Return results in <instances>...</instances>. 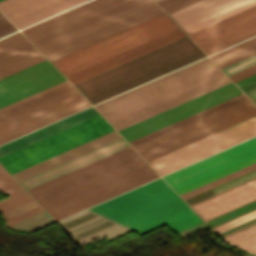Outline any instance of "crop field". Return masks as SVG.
Here are the masks:
<instances>
[{
	"mask_svg": "<svg viewBox=\"0 0 256 256\" xmlns=\"http://www.w3.org/2000/svg\"><path fill=\"white\" fill-rule=\"evenodd\" d=\"M157 177L129 146L28 192L59 220Z\"/></svg>",
	"mask_w": 256,
	"mask_h": 256,
	"instance_id": "8a807250",
	"label": "crop field"
},
{
	"mask_svg": "<svg viewBox=\"0 0 256 256\" xmlns=\"http://www.w3.org/2000/svg\"><path fill=\"white\" fill-rule=\"evenodd\" d=\"M139 1L141 0H91L22 32L37 46ZM161 13L163 11L154 1L144 0L37 48L52 61Z\"/></svg>",
	"mask_w": 256,
	"mask_h": 256,
	"instance_id": "ac0d7876",
	"label": "crop field"
},
{
	"mask_svg": "<svg viewBox=\"0 0 256 256\" xmlns=\"http://www.w3.org/2000/svg\"><path fill=\"white\" fill-rule=\"evenodd\" d=\"M185 36L176 30L123 54L67 77L76 83L129 59ZM205 55L187 37H183L130 61L74 84L82 95L95 104L190 62Z\"/></svg>",
	"mask_w": 256,
	"mask_h": 256,
	"instance_id": "34b2d1b8",
	"label": "crop field"
},
{
	"mask_svg": "<svg viewBox=\"0 0 256 256\" xmlns=\"http://www.w3.org/2000/svg\"><path fill=\"white\" fill-rule=\"evenodd\" d=\"M256 115L248 100L135 148L146 161ZM256 135V116L149 161L164 175L184 165Z\"/></svg>",
	"mask_w": 256,
	"mask_h": 256,
	"instance_id": "412701ff",
	"label": "crop field"
},
{
	"mask_svg": "<svg viewBox=\"0 0 256 256\" xmlns=\"http://www.w3.org/2000/svg\"><path fill=\"white\" fill-rule=\"evenodd\" d=\"M212 66H214V64L211 62V60L208 57H206V58L199 60L193 64H190L186 67H183L179 70L169 73L163 77H160L156 80H153L149 83L139 86L133 90H130V91L123 93L119 96H116L112 99H109L103 103H100L94 107L101 114H103L107 111H110L114 108H117L121 105H124L128 102H131L135 99H138L142 96H145L149 93H152L158 89H161L165 86H168L172 83H175L179 80H182L186 77H189L193 74H196V73L203 71L207 68H210ZM220 74H222V72L216 66H214L210 69H207L203 72H200L196 75H193L189 78H186V79L179 81L175 84H172L168 87H165L159 91H156L152 94H149L145 97H142L138 100H135V101L128 103L124 106H121L117 109H114L110 112H107V113L103 114V116L109 122H111L115 119H118L122 116H125L129 113H132L136 110H139L143 107H146L150 104H153L157 101H160L166 97H169L173 94H176L180 91H183L187 88H190L194 85H197L201 82H204V81L211 79L215 76H218ZM228 83H230V81L227 79V77L224 74H222L218 77H215L211 80H208L204 83H201L197 86H194V87L187 89L183 92H180L176 95H173L167 99H164L160 102H157L153 105H150L146 108H143V109L136 111L132 114H129L125 117H122L118 120H115V121L111 122V124L114 126V128L117 131H119L123 128H126L130 125H133L137 122H140L144 119H147L151 116H154L158 113H161L165 110H168L174 106H177L181 103H184L188 100H191L195 97H198L202 94H205L209 91H212V90L219 88L223 85H226Z\"/></svg>",
	"mask_w": 256,
	"mask_h": 256,
	"instance_id": "f4fd0767",
	"label": "crop field"
},
{
	"mask_svg": "<svg viewBox=\"0 0 256 256\" xmlns=\"http://www.w3.org/2000/svg\"><path fill=\"white\" fill-rule=\"evenodd\" d=\"M185 207L175 192L158 179L90 209L137 229Z\"/></svg>",
	"mask_w": 256,
	"mask_h": 256,
	"instance_id": "dd49c442",
	"label": "crop field"
},
{
	"mask_svg": "<svg viewBox=\"0 0 256 256\" xmlns=\"http://www.w3.org/2000/svg\"><path fill=\"white\" fill-rule=\"evenodd\" d=\"M176 29L178 27L163 13L56 59L52 63L67 77Z\"/></svg>",
	"mask_w": 256,
	"mask_h": 256,
	"instance_id": "e52e79f7",
	"label": "crop field"
},
{
	"mask_svg": "<svg viewBox=\"0 0 256 256\" xmlns=\"http://www.w3.org/2000/svg\"><path fill=\"white\" fill-rule=\"evenodd\" d=\"M111 130L113 128L98 115L1 156L0 163L13 174Z\"/></svg>",
	"mask_w": 256,
	"mask_h": 256,
	"instance_id": "d8731c3e",
	"label": "crop field"
},
{
	"mask_svg": "<svg viewBox=\"0 0 256 256\" xmlns=\"http://www.w3.org/2000/svg\"><path fill=\"white\" fill-rule=\"evenodd\" d=\"M67 83L63 81L0 109V112ZM75 89L0 120V141L86 104ZM89 104V103H88ZM87 105V104H86ZM90 105V104H89ZM85 106V105H84ZM88 106V105H87ZM83 107V106H82ZM86 107V106H85ZM80 108V107H79ZM84 108V107H83ZM78 109V108H77ZM81 109V108H80ZM76 110V109H75ZM79 110V109H78ZM73 111V110H72ZM77 111V110H76ZM71 112V111H70ZM74 112V111H73ZM69 113V112H68ZM72 113V112H71ZM66 114V113H65ZM70 114V113H69ZM64 115V114H63ZM67 115V114H66ZM62 116V115H61ZM65 116V115H64ZM60 117V116H59ZM63 117V116H62ZM57 118V117H56ZM61 118V117H60ZM55 119V118H54ZM58 119V118H57ZM53 120V119H52ZM56 120V119H55ZM50 121V120H49ZM54 121V120H53ZM48 122V121H47ZM51 122V121H50ZM46 123V122H45ZM49 123V122H48ZM43 124V123H42ZM47 124V123H46ZM41 125V124H40ZM44 125V124H43ZM39 126V125H38ZM42 126V125H41ZM36 127V126H35ZM40 127V126H39ZM34 128V127H33ZM37 128V127H36ZM32 129V128H31ZM35 129V128H34ZM29 130V129H28ZM33 130V129H32ZM27 131V130H26ZM30 131V130H29ZM25 132V131H24ZM28 132V131H27ZM22 133V132H21ZM26 133V132H25ZM20 134V133H19ZM23 134V133H22ZM18 135V134H17ZM21 135V134H20ZM15 136V135H14ZM19 136V135H18ZM13 137V136H12ZM16 137V136H15ZM11 138V137H10ZM14 138V137H13ZM9 139V138H8ZM12 139V138H11ZM6 140V139H5ZM10 140V139H9ZM4 141V140H3ZM7 141V140H6ZM2 142V141H1ZM5 142V141H4ZM3 143V142H2Z\"/></svg>",
	"mask_w": 256,
	"mask_h": 256,
	"instance_id": "5a996713",
	"label": "crop field"
},
{
	"mask_svg": "<svg viewBox=\"0 0 256 256\" xmlns=\"http://www.w3.org/2000/svg\"><path fill=\"white\" fill-rule=\"evenodd\" d=\"M239 94H241V92L232 83H230L175 108L123 129L119 131V133L128 142H130Z\"/></svg>",
	"mask_w": 256,
	"mask_h": 256,
	"instance_id": "3316defc",
	"label": "crop field"
},
{
	"mask_svg": "<svg viewBox=\"0 0 256 256\" xmlns=\"http://www.w3.org/2000/svg\"><path fill=\"white\" fill-rule=\"evenodd\" d=\"M256 156V137L163 177L175 190Z\"/></svg>",
	"mask_w": 256,
	"mask_h": 256,
	"instance_id": "28ad6ade",
	"label": "crop field"
},
{
	"mask_svg": "<svg viewBox=\"0 0 256 256\" xmlns=\"http://www.w3.org/2000/svg\"><path fill=\"white\" fill-rule=\"evenodd\" d=\"M256 5V0H202L170 14L189 35Z\"/></svg>",
	"mask_w": 256,
	"mask_h": 256,
	"instance_id": "d1516ede",
	"label": "crop field"
},
{
	"mask_svg": "<svg viewBox=\"0 0 256 256\" xmlns=\"http://www.w3.org/2000/svg\"><path fill=\"white\" fill-rule=\"evenodd\" d=\"M63 80L47 60L0 79V108Z\"/></svg>",
	"mask_w": 256,
	"mask_h": 256,
	"instance_id": "22f410ed",
	"label": "crop field"
},
{
	"mask_svg": "<svg viewBox=\"0 0 256 256\" xmlns=\"http://www.w3.org/2000/svg\"><path fill=\"white\" fill-rule=\"evenodd\" d=\"M255 34L256 6L193 33L189 37L194 40L202 36L205 40L199 43L194 41L206 54H210Z\"/></svg>",
	"mask_w": 256,
	"mask_h": 256,
	"instance_id": "cbeb9de0",
	"label": "crop field"
},
{
	"mask_svg": "<svg viewBox=\"0 0 256 256\" xmlns=\"http://www.w3.org/2000/svg\"><path fill=\"white\" fill-rule=\"evenodd\" d=\"M85 0H3L1 11L22 28Z\"/></svg>",
	"mask_w": 256,
	"mask_h": 256,
	"instance_id": "5142ce71",
	"label": "crop field"
},
{
	"mask_svg": "<svg viewBox=\"0 0 256 256\" xmlns=\"http://www.w3.org/2000/svg\"><path fill=\"white\" fill-rule=\"evenodd\" d=\"M256 200V177L191 205L205 220Z\"/></svg>",
	"mask_w": 256,
	"mask_h": 256,
	"instance_id": "d9b57169",
	"label": "crop field"
},
{
	"mask_svg": "<svg viewBox=\"0 0 256 256\" xmlns=\"http://www.w3.org/2000/svg\"><path fill=\"white\" fill-rule=\"evenodd\" d=\"M23 39H25V37L19 32L10 35L0 40V49ZM43 60H45V58L27 39H25L0 50V78Z\"/></svg>",
	"mask_w": 256,
	"mask_h": 256,
	"instance_id": "733c2abd",
	"label": "crop field"
},
{
	"mask_svg": "<svg viewBox=\"0 0 256 256\" xmlns=\"http://www.w3.org/2000/svg\"><path fill=\"white\" fill-rule=\"evenodd\" d=\"M126 146H128V144L126 143V141L123 138H121V139H119L117 141H114V142H112L110 144H107V145H105V146H103L101 148H98V149H96L94 151H91V152H89L87 154H84V155H82L80 157H77V158H75V159H73L71 161H68V162H66L64 164H61V165H59L57 167H54V168H52L50 170H47V171H45L43 173H40V174H38V175H36L34 177H31V178H29L27 180H24V181L20 182V184L26 190H28V189H30L32 187H35V186H37V185H39L41 183H44V182H46L48 180H51V179H53V178H55L57 176H60V175H62L64 173H67V172H69V171H71L73 169H76V168H78L80 166H83V165H85V164H87L89 162H92V161H94L96 159H99V158H101V157H103L105 155H108V154H110L112 152H115V151H117V150H119L121 148H124Z\"/></svg>",
	"mask_w": 256,
	"mask_h": 256,
	"instance_id": "4a817a6b",
	"label": "crop field"
},
{
	"mask_svg": "<svg viewBox=\"0 0 256 256\" xmlns=\"http://www.w3.org/2000/svg\"><path fill=\"white\" fill-rule=\"evenodd\" d=\"M119 138H121V136L115 130H113L109 133H106V134L100 136V137L90 140L84 144H81L77 147H74V148L68 150V151H65L61 154H58V155L52 157V158L42 161L36 165L26 168L20 172H17L15 174H13V176L15 177V179L18 182H20L24 179L34 176L40 172H43L47 169H50L54 166L64 163L70 159H73L77 156H80L84 153H87L91 150H94L98 147H101V146H103L107 143H110L114 140H117Z\"/></svg>",
	"mask_w": 256,
	"mask_h": 256,
	"instance_id": "bc2a9ffb",
	"label": "crop field"
},
{
	"mask_svg": "<svg viewBox=\"0 0 256 256\" xmlns=\"http://www.w3.org/2000/svg\"><path fill=\"white\" fill-rule=\"evenodd\" d=\"M256 44V36L248 39L244 42H241L237 45H234L230 48H227L225 50H222L218 53H215L210 56V58L216 62L220 59H223L227 56H230L234 53H237L243 49H246L250 46H253ZM256 64V45L253 47H250L244 51H241L237 54H234L230 57H227L223 60H220L216 62V65L227 75H231L233 73H236L240 70H243L247 67H250L252 65Z\"/></svg>",
	"mask_w": 256,
	"mask_h": 256,
	"instance_id": "214f88e0",
	"label": "crop field"
},
{
	"mask_svg": "<svg viewBox=\"0 0 256 256\" xmlns=\"http://www.w3.org/2000/svg\"><path fill=\"white\" fill-rule=\"evenodd\" d=\"M96 115H98V113L93 108H89V109H87L85 111H82V112H80L78 114H75V115H73L71 117H68L66 119H63V120H61L59 122H56V123H54L52 125H49V126H47L45 128H42V129H40L38 131H35V132L31 133V134H28V135H26L24 137H21V138H19L17 140L9 142V143H7L5 145L0 146V156L6 154L8 152H11L13 150H16V149H18L20 147H23V146H25L27 144H30V143H32L34 141L42 139V138H44L46 136H49V135H51L53 133H56V132H58L60 130L68 128V127H70L72 125H75V124H77L79 122H82V121H84L86 119L94 117Z\"/></svg>",
	"mask_w": 256,
	"mask_h": 256,
	"instance_id": "92a150f3",
	"label": "crop field"
},
{
	"mask_svg": "<svg viewBox=\"0 0 256 256\" xmlns=\"http://www.w3.org/2000/svg\"><path fill=\"white\" fill-rule=\"evenodd\" d=\"M244 100H246V98H245V96L243 94H241V95H239L237 97H234V98H232L230 100H227V101H225L223 103H220V104H218L216 106H213V107H211L209 109H206V110H204L202 112H199V113H197L195 115H192V116H190V117H188L186 119H183V120H181L179 122H176V123H174L172 125H169V126H167L165 128H162V129H160L158 131H155V132H153L151 134H148V135H146L144 137H141V138H139L137 140H134V141L130 142V144H131V146L133 148H135V147H137L139 145H142V144H144L146 142H149V141H151L153 139H156V138H158L160 136H163V135H165L167 133H170V132H172L174 130H177V129L181 128V127H184V126H186V125H188L190 123H193V122H195L197 120H200V119H202L204 117H207V116H209L211 114H214V113H216L218 111H221V110H223L225 108H228V107H230L232 105H235V104H237L239 102H242Z\"/></svg>",
	"mask_w": 256,
	"mask_h": 256,
	"instance_id": "dafd665d",
	"label": "crop field"
},
{
	"mask_svg": "<svg viewBox=\"0 0 256 256\" xmlns=\"http://www.w3.org/2000/svg\"><path fill=\"white\" fill-rule=\"evenodd\" d=\"M201 222L195 213L188 207L158 221L135 230L140 236L166 224L175 233Z\"/></svg>",
	"mask_w": 256,
	"mask_h": 256,
	"instance_id": "00972430",
	"label": "crop field"
},
{
	"mask_svg": "<svg viewBox=\"0 0 256 256\" xmlns=\"http://www.w3.org/2000/svg\"><path fill=\"white\" fill-rule=\"evenodd\" d=\"M0 192L11 196L0 200V212L19 206L32 198L21 188V186L9 176L0 166Z\"/></svg>",
	"mask_w": 256,
	"mask_h": 256,
	"instance_id": "a9b5d70f",
	"label": "crop field"
},
{
	"mask_svg": "<svg viewBox=\"0 0 256 256\" xmlns=\"http://www.w3.org/2000/svg\"><path fill=\"white\" fill-rule=\"evenodd\" d=\"M54 222L44 211L7 226L10 229L30 232L39 227Z\"/></svg>",
	"mask_w": 256,
	"mask_h": 256,
	"instance_id": "4177f3b9",
	"label": "crop field"
},
{
	"mask_svg": "<svg viewBox=\"0 0 256 256\" xmlns=\"http://www.w3.org/2000/svg\"><path fill=\"white\" fill-rule=\"evenodd\" d=\"M40 211H42V209L38 206V204L34 200H32L26 204H23L19 207H16L10 211L3 213L2 216L7 226L11 223L19 221L23 218H26Z\"/></svg>",
	"mask_w": 256,
	"mask_h": 256,
	"instance_id": "730fd06b",
	"label": "crop field"
},
{
	"mask_svg": "<svg viewBox=\"0 0 256 256\" xmlns=\"http://www.w3.org/2000/svg\"><path fill=\"white\" fill-rule=\"evenodd\" d=\"M255 169H256V163L252 164V165H250L248 167H245V168H243L241 170H238V171H236V172H234L232 174H229V175H227L225 177H222V178H220L218 180H215V181H213L211 183H208V184H206L204 186H201V187H199V188H197L195 190H192V191H190L188 193H185V194L181 195V197L184 200H186V199H188L190 197H193V196H195L197 194H200V193H202V192H204L206 190H209V189H211L213 187H216V186H218L220 184H223V183H225L227 181H230V180H232L234 178H237V177H239V176H241L243 174H246V173H248L250 171H253Z\"/></svg>",
	"mask_w": 256,
	"mask_h": 256,
	"instance_id": "eef30255",
	"label": "crop field"
},
{
	"mask_svg": "<svg viewBox=\"0 0 256 256\" xmlns=\"http://www.w3.org/2000/svg\"><path fill=\"white\" fill-rule=\"evenodd\" d=\"M256 73V65L250 67V68H247L243 71H240L236 74H233L231 76H229V78L236 82L240 79H243L247 76H250L252 74H255ZM236 84L240 87V89L245 93H249L251 91H254L256 90V74L255 75H252L250 77H247L243 80H240L238 82H236Z\"/></svg>",
	"mask_w": 256,
	"mask_h": 256,
	"instance_id": "ae1a2a85",
	"label": "crop field"
},
{
	"mask_svg": "<svg viewBox=\"0 0 256 256\" xmlns=\"http://www.w3.org/2000/svg\"><path fill=\"white\" fill-rule=\"evenodd\" d=\"M255 162H256V157H255V158H252V159H250V160H248V161H245V162H243V163H240V164H238V165H236V166H233V167H231V168H229V169H226V170H224V171H222V172H219V173H217V174H214V175H212V176H210V177H207V178H205V179H203V180H200V181H198V182H196V183H193V184H191V185H188V186H186V187H184V188H181V189L177 190V192H178L179 195H181V194H183V193H185V192H188V191H190V190H192V189H195V188H197V187H199V186H201V185H204V184H206V183H208V182H211V181H213V180H215V179H218V178H220V177H222V176H225V175H227V174H229V173H232V172H234V171H236V170H238V169H241V168H243V167H245V166H248V165H250V164H252V163H255Z\"/></svg>",
	"mask_w": 256,
	"mask_h": 256,
	"instance_id": "d3111659",
	"label": "crop field"
},
{
	"mask_svg": "<svg viewBox=\"0 0 256 256\" xmlns=\"http://www.w3.org/2000/svg\"><path fill=\"white\" fill-rule=\"evenodd\" d=\"M226 242L256 253V229L230 239Z\"/></svg>",
	"mask_w": 256,
	"mask_h": 256,
	"instance_id": "750c4746",
	"label": "crop field"
},
{
	"mask_svg": "<svg viewBox=\"0 0 256 256\" xmlns=\"http://www.w3.org/2000/svg\"><path fill=\"white\" fill-rule=\"evenodd\" d=\"M254 217H256V210H254V211H251V212H249V213H246V214H244V215H242V216H239V217H237V218H234V219H232V220H230V221H227V222H225V223H222V224H220V225H218V226H215V227H213V229L217 232V233H219V232H221V231H223V230H226V229H228V228H230V227H233V226H235V225H237V224H240V223H242V222H244V221H247V220H249V219H251V218H254ZM252 220V219H251ZM245 223V222H244ZM238 226V225H237ZM231 229V228H230ZM224 232V231H223Z\"/></svg>",
	"mask_w": 256,
	"mask_h": 256,
	"instance_id": "bd1437ed",
	"label": "crop field"
},
{
	"mask_svg": "<svg viewBox=\"0 0 256 256\" xmlns=\"http://www.w3.org/2000/svg\"><path fill=\"white\" fill-rule=\"evenodd\" d=\"M17 30L0 12V37Z\"/></svg>",
	"mask_w": 256,
	"mask_h": 256,
	"instance_id": "1d83c4d3",
	"label": "crop field"
},
{
	"mask_svg": "<svg viewBox=\"0 0 256 256\" xmlns=\"http://www.w3.org/2000/svg\"><path fill=\"white\" fill-rule=\"evenodd\" d=\"M161 1H163V0H159V1H157V3L161 2ZM184 1H187V0H166V1H163V2L159 3V5L164 10H166V9H168L170 7H173V6L177 5V4H180V3L184 2Z\"/></svg>",
	"mask_w": 256,
	"mask_h": 256,
	"instance_id": "120bbe31",
	"label": "crop field"
},
{
	"mask_svg": "<svg viewBox=\"0 0 256 256\" xmlns=\"http://www.w3.org/2000/svg\"><path fill=\"white\" fill-rule=\"evenodd\" d=\"M254 228H256V224L253 225V226H251V227H248V228H246V229H244V230H241V231H239V232H237V233H234V234H232V235H230V236H227V237L223 238V240L226 241V240H228V239H230V238H233V237H235V236H237V235H240V234H242V233H245V232H247V231H249V230H252V229H254Z\"/></svg>",
	"mask_w": 256,
	"mask_h": 256,
	"instance_id": "d32e631a",
	"label": "crop field"
},
{
	"mask_svg": "<svg viewBox=\"0 0 256 256\" xmlns=\"http://www.w3.org/2000/svg\"><path fill=\"white\" fill-rule=\"evenodd\" d=\"M247 96L256 104V91L247 94Z\"/></svg>",
	"mask_w": 256,
	"mask_h": 256,
	"instance_id": "5866460e",
	"label": "crop field"
},
{
	"mask_svg": "<svg viewBox=\"0 0 256 256\" xmlns=\"http://www.w3.org/2000/svg\"><path fill=\"white\" fill-rule=\"evenodd\" d=\"M155 1H157V0H155Z\"/></svg>",
	"mask_w": 256,
	"mask_h": 256,
	"instance_id": "028f5c9d",
	"label": "crop field"
}]
</instances>
